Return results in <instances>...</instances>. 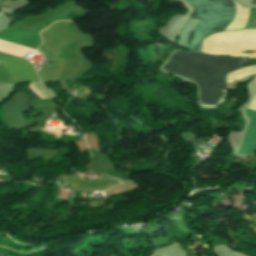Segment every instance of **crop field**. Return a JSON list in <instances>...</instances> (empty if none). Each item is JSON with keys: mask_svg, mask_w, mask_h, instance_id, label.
I'll use <instances>...</instances> for the list:
<instances>
[{"mask_svg": "<svg viewBox=\"0 0 256 256\" xmlns=\"http://www.w3.org/2000/svg\"><path fill=\"white\" fill-rule=\"evenodd\" d=\"M246 60L178 51L163 70L194 82L198 87V104L213 107L220 101L224 89L227 88L225 75L244 67Z\"/></svg>", "mask_w": 256, "mask_h": 256, "instance_id": "8a807250", "label": "crop field"}, {"mask_svg": "<svg viewBox=\"0 0 256 256\" xmlns=\"http://www.w3.org/2000/svg\"><path fill=\"white\" fill-rule=\"evenodd\" d=\"M26 96L15 95L6 103V122L9 128L25 127L24 112L29 110Z\"/></svg>", "mask_w": 256, "mask_h": 256, "instance_id": "f4fd0767", "label": "crop field"}, {"mask_svg": "<svg viewBox=\"0 0 256 256\" xmlns=\"http://www.w3.org/2000/svg\"><path fill=\"white\" fill-rule=\"evenodd\" d=\"M255 86L252 96L253 101L246 111L256 112V79L251 84ZM248 117L251 119L247 131L245 133L244 139L239 149V153L250 154L254 148H256V113L246 112Z\"/></svg>", "mask_w": 256, "mask_h": 256, "instance_id": "dd49c442", "label": "crop field"}, {"mask_svg": "<svg viewBox=\"0 0 256 256\" xmlns=\"http://www.w3.org/2000/svg\"><path fill=\"white\" fill-rule=\"evenodd\" d=\"M29 89L35 93L40 99L54 97L41 83H31ZM29 89H27L31 100L39 99L35 94H33Z\"/></svg>", "mask_w": 256, "mask_h": 256, "instance_id": "d8731c3e", "label": "crop field"}, {"mask_svg": "<svg viewBox=\"0 0 256 256\" xmlns=\"http://www.w3.org/2000/svg\"><path fill=\"white\" fill-rule=\"evenodd\" d=\"M235 15L229 24V26L221 31H227L231 29H243L249 15V9L241 7L235 0ZM219 31V32H221Z\"/></svg>", "mask_w": 256, "mask_h": 256, "instance_id": "e52e79f7", "label": "crop field"}, {"mask_svg": "<svg viewBox=\"0 0 256 256\" xmlns=\"http://www.w3.org/2000/svg\"><path fill=\"white\" fill-rule=\"evenodd\" d=\"M0 60L7 67L16 84L19 81H39L35 74L33 66L28 61L15 58L3 53H0Z\"/></svg>", "mask_w": 256, "mask_h": 256, "instance_id": "412701ff", "label": "crop field"}, {"mask_svg": "<svg viewBox=\"0 0 256 256\" xmlns=\"http://www.w3.org/2000/svg\"><path fill=\"white\" fill-rule=\"evenodd\" d=\"M253 74H256V66L248 67L245 69H239L228 75L227 82L229 83V82L238 80L242 77L253 75Z\"/></svg>", "mask_w": 256, "mask_h": 256, "instance_id": "5a996713", "label": "crop field"}, {"mask_svg": "<svg viewBox=\"0 0 256 256\" xmlns=\"http://www.w3.org/2000/svg\"><path fill=\"white\" fill-rule=\"evenodd\" d=\"M193 9L192 19L201 20L195 30L190 50L200 52L202 38L228 26L233 15L232 0H187Z\"/></svg>", "mask_w": 256, "mask_h": 256, "instance_id": "ac0d7876", "label": "crop field"}, {"mask_svg": "<svg viewBox=\"0 0 256 256\" xmlns=\"http://www.w3.org/2000/svg\"><path fill=\"white\" fill-rule=\"evenodd\" d=\"M207 50L256 51V31L212 35L204 39L203 49L201 52L222 56L256 59V53L220 52Z\"/></svg>", "mask_w": 256, "mask_h": 256, "instance_id": "34b2d1b8", "label": "crop field"}]
</instances>
